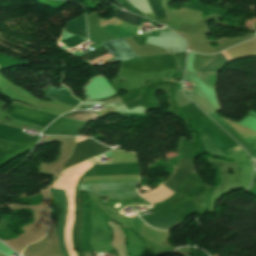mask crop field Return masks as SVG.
Instances as JSON below:
<instances>
[{
  "label": "crop field",
  "mask_w": 256,
  "mask_h": 256,
  "mask_svg": "<svg viewBox=\"0 0 256 256\" xmlns=\"http://www.w3.org/2000/svg\"><path fill=\"white\" fill-rule=\"evenodd\" d=\"M193 170H194V158L180 159V164L175 166V171L173 172L170 180L161 186L169 189L172 192H175L179 188V186L182 184V182L189 177V175L193 172ZM161 186L157 187L156 189L146 194H140V195L148 199L150 197H153L155 195L168 191L167 189ZM170 191L163 193L161 195L155 196L153 198H150L148 200L153 204L163 201L174 194Z\"/></svg>",
  "instance_id": "1"
},
{
  "label": "crop field",
  "mask_w": 256,
  "mask_h": 256,
  "mask_svg": "<svg viewBox=\"0 0 256 256\" xmlns=\"http://www.w3.org/2000/svg\"><path fill=\"white\" fill-rule=\"evenodd\" d=\"M61 117L84 122L98 118L95 111H73ZM62 118L54 121L43 134L75 136L77 131L85 125L84 122Z\"/></svg>",
  "instance_id": "2"
},
{
  "label": "crop field",
  "mask_w": 256,
  "mask_h": 256,
  "mask_svg": "<svg viewBox=\"0 0 256 256\" xmlns=\"http://www.w3.org/2000/svg\"><path fill=\"white\" fill-rule=\"evenodd\" d=\"M138 182L80 185L77 191H86L109 199L140 197L135 189Z\"/></svg>",
  "instance_id": "3"
},
{
  "label": "crop field",
  "mask_w": 256,
  "mask_h": 256,
  "mask_svg": "<svg viewBox=\"0 0 256 256\" xmlns=\"http://www.w3.org/2000/svg\"><path fill=\"white\" fill-rule=\"evenodd\" d=\"M80 139H83V138L77 137L76 141L80 140ZM110 149L111 148L105 147L95 141L88 139V138L77 141L76 147H75V150H74L72 156L70 158H68V160L64 164L63 168H66L68 166L79 163L83 160H86V159L92 157V156L102 154Z\"/></svg>",
  "instance_id": "4"
},
{
  "label": "crop field",
  "mask_w": 256,
  "mask_h": 256,
  "mask_svg": "<svg viewBox=\"0 0 256 256\" xmlns=\"http://www.w3.org/2000/svg\"><path fill=\"white\" fill-rule=\"evenodd\" d=\"M51 194L55 200V204L52 208V217L56 218L57 220L56 227L58 231L59 246L61 248L63 255L69 256L63 238L64 220L67 208L65 192L61 190H51Z\"/></svg>",
  "instance_id": "5"
},
{
  "label": "crop field",
  "mask_w": 256,
  "mask_h": 256,
  "mask_svg": "<svg viewBox=\"0 0 256 256\" xmlns=\"http://www.w3.org/2000/svg\"><path fill=\"white\" fill-rule=\"evenodd\" d=\"M103 45L107 50L114 56L118 61L127 60L130 58L138 57L129 44L125 41L124 38L115 39Z\"/></svg>",
  "instance_id": "6"
},
{
  "label": "crop field",
  "mask_w": 256,
  "mask_h": 256,
  "mask_svg": "<svg viewBox=\"0 0 256 256\" xmlns=\"http://www.w3.org/2000/svg\"><path fill=\"white\" fill-rule=\"evenodd\" d=\"M81 195L82 193H77L76 195V220L74 223L73 231H72V240L74 248L79 249L78 256H84L81 246H80V230H81Z\"/></svg>",
  "instance_id": "7"
},
{
  "label": "crop field",
  "mask_w": 256,
  "mask_h": 256,
  "mask_svg": "<svg viewBox=\"0 0 256 256\" xmlns=\"http://www.w3.org/2000/svg\"><path fill=\"white\" fill-rule=\"evenodd\" d=\"M109 53L104 46L90 52V53H87V54H84L82 56H80L81 58L83 59H87L88 61H91L93 59H96L100 56H103L105 54ZM99 61H102V63L104 62H109V63H112V62H116V60L112 57V55L109 53L101 58H98L96 60H93L91 61L90 63H92L93 65L97 64Z\"/></svg>",
  "instance_id": "8"
},
{
  "label": "crop field",
  "mask_w": 256,
  "mask_h": 256,
  "mask_svg": "<svg viewBox=\"0 0 256 256\" xmlns=\"http://www.w3.org/2000/svg\"><path fill=\"white\" fill-rule=\"evenodd\" d=\"M145 221L151 224L154 227H159L161 229H168L177 223H179L173 216L169 213L149 219H145Z\"/></svg>",
  "instance_id": "9"
},
{
  "label": "crop field",
  "mask_w": 256,
  "mask_h": 256,
  "mask_svg": "<svg viewBox=\"0 0 256 256\" xmlns=\"http://www.w3.org/2000/svg\"><path fill=\"white\" fill-rule=\"evenodd\" d=\"M221 53L227 59L228 62L231 61L228 55L225 53V51ZM221 53L214 55V57L202 67L201 71H218L226 63H228Z\"/></svg>",
  "instance_id": "10"
},
{
  "label": "crop field",
  "mask_w": 256,
  "mask_h": 256,
  "mask_svg": "<svg viewBox=\"0 0 256 256\" xmlns=\"http://www.w3.org/2000/svg\"><path fill=\"white\" fill-rule=\"evenodd\" d=\"M200 140L204 146V149L206 152L216 156V157H224V158H230L233 159L232 155L227 156L224 153H222L215 145L214 143L208 138V136L204 133L200 135ZM237 151L242 150L243 148L241 146L235 148Z\"/></svg>",
  "instance_id": "11"
},
{
  "label": "crop field",
  "mask_w": 256,
  "mask_h": 256,
  "mask_svg": "<svg viewBox=\"0 0 256 256\" xmlns=\"http://www.w3.org/2000/svg\"><path fill=\"white\" fill-rule=\"evenodd\" d=\"M66 30L77 36L87 38L85 20L83 16L75 21H71L70 23H68V27L66 28Z\"/></svg>",
  "instance_id": "12"
},
{
  "label": "crop field",
  "mask_w": 256,
  "mask_h": 256,
  "mask_svg": "<svg viewBox=\"0 0 256 256\" xmlns=\"http://www.w3.org/2000/svg\"><path fill=\"white\" fill-rule=\"evenodd\" d=\"M220 126H222L226 131H228L231 135H233L236 140L241 143L244 147L252 144L249 140H247L245 137H243L241 134H239L237 131H235L233 128H231L229 125H227L225 122H223L221 119H219L214 114L210 115Z\"/></svg>",
  "instance_id": "13"
},
{
  "label": "crop field",
  "mask_w": 256,
  "mask_h": 256,
  "mask_svg": "<svg viewBox=\"0 0 256 256\" xmlns=\"http://www.w3.org/2000/svg\"><path fill=\"white\" fill-rule=\"evenodd\" d=\"M113 10L117 14L115 16L125 20L126 22H128V23H130V24H132V25H134L136 27L144 20V18H141L139 16L133 15L131 13L123 12V11L117 9V8H115Z\"/></svg>",
  "instance_id": "14"
},
{
  "label": "crop field",
  "mask_w": 256,
  "mask_h": 256,
  "mask_svg": "<svg viewBox=\"0 0 256 256\" xmlns=\"http://www.w3.org/2000/svg\"><path fill=\"white\" fill-rule=\"evenodd\" d=\"M201 73V72H200ZM217 72H202L200 79L209 87L214 88Z\"/></svg>",
  "instance_id": "15"
},
{
  "label": "crop field",
  "mask_w": 256,
  "mask_h": 256,
  "mask_svg": "<svg viewBox=\"0 0 256 256\" xmlns=\"http://www.w3.org/2000/svg\"><path fill=\"white\" fill-rule=\"evenodd\" d=\"M150 4L154 14H165L162 0H150Z\"/></svg>",
  "instance_id": "16"
},
{
  "label": "crop field",
  "mask_w": 256,
  "mask_h": 256,
  "mask_svg": "<svg viewBox=\"0 0 256 256\" xmlns=\"http://www.w3.org/2000/svg\"><path fill=\"white\" fill-rule=\"evenodd\" d=\"M84 42L81 38L74 36L69 39H66L62 41L66 45L67 48H73L76 47L78 44Z\"/></svg>",
  "instance_id": "17"
}]
</instances>
